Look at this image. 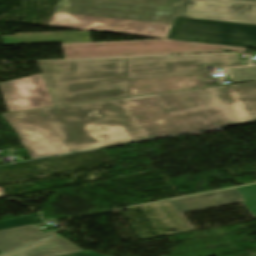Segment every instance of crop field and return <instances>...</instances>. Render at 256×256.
Wrapping results in <instances>:
<instances>
[{"label": "crop field", "mask_w": 256, "mask_h": 256, "mask_svg": "<svg viewBox=\"0 0 256 256\" xmlns=\"http://www.w3.org/2000/svg\"><path fill=\"white\" fill-rule=\"evenodd\" d=\"M151 95L167 114L221 106L233 124L256 120V82ZM2 115L31 160L150 139L121 99Z\"/></svg>", "instance_id": "obj_1"}, {"label": "crop field", "mask_w": 256, "mask_h": 256, "mask_svg": "<svg viewBox=\"0 0 256 256\" xmlns=\"http://www.w3.org/2000/svg\"><path fill=\"white\" fill-rule=\"evenodd\" d=\"M77 72L42 74L56 106L128 97L126 79L207 73L249 65L237 54L75 61Z\"/></svg>", "instance_id": "obj_2"}, {"label": "crop field", "mask_w": 256, "mask_h": 256, "mask_svg": "<svg viewBox=\"0 0 256 256\" xmlns=\"http://www.w3.org/2000/svg\"><path fill=\"white\" fill-rule=\"evenodd\" d=\"M181 0H58L47 26L165 38Z\"/></svg>", "instance_id": "obj_3"}, {"label": "crop field", "mask_w": 256, "mask_h": 256, "mask_svg": "<svg viewBox=\"0 0 256 256\" xmlns=\"http://www.w3.org/2000/svg\"><path fill=\"white\" fill-rule=\"evenodd\" d=\"M166 39L256 48V0H182Z\"/></svg>", "instance_id": "obj_4"}, {"label": "crop field", "mask_w": 256, "mask_h": 256, "mask_svg": "<svg viewBox=\"0 0 256 256\" xmlns=\"http://www.w3.org/2000/svg\"><path fill=\"white\" fill-rule=\"evenodd\" d=\"M123 101L150 138L232 124L221 107L167 115L155 96Z\"/></svg>", "instance_id": "obj_5"}, {"label": "crop field", "mask_w": 256, "mask_h": 256, "mask_svg": "<svg viewBox=\"0 0 256 256\" xmlns=\"http://www.w3.org/2000/svg\"><path fill=\"white\" fill-rule=\"evenodd\" d=\"M65 59L246 51V48L153 40L62 44Z\"/></svg>", "instance_id": "obj_6"}, {"label": "crop field", "mask_w": 256, "mask_h": 256, "mask_svg": "<svg viewBox=\"0 0 256 256\" xmlns=\"http://www.w3.org/2000/svg\"><path fill=\"white\" fill-rule=\"evenodd\" d=\"M9 112L55 106L41 74L0 83Z\"/></svg>", "instance_id": "obj_7"}, {"label": "crop field", "mask_w": 256, "mask_h": 256, "mask_svg": "<svg viewBox=\"0 0 256 256\" xmlns=\"http://www.w3.org/2000/svg\"><path fill=\"white\" fill-rule=\"evenodd\" d=\"M209 74L127 80L129 97L206 87Z\"/></svg>", "instance_id": "obj_8"}, {"label": "crop field", "mask_w": 256, "mask_h": 256, "mask_svg": "<svg viewBox=\"0 0 256 256\" xmlns=\"http://www.w3.org/2000/svg\"><path fill=\"white\" fill-rule=\"evenodd\" d=\"M243 200L244 199L237 192V190L232 188L193 197L171 200L170 203L173 205L191 231H193V228L190 226L181 212L234 203Z\"/></svg>", "instance_id": "obj_9"}, {"label": "crop field", "mask_w": 256, "mask_h": 256, "mask_svg": "<svg viewBox=\"0 0 256 256\" xmlns=\"http://www.w3.org/2000/svg\"><path fill=\"white\" fill-rule=\"evenodd\" d=\"M0 37L6 45L91 42L89 31L30 33Z\"/></svg>", "instance_id": "obj_10"}, {"label": "crop field", "mask_w": 256, "mask_h": 256, "mask_svg": "<svg viewBox=\"0 0 256 256\" xmlns=\"http://www.w3.org/2000/svg\"><path fill=\"white\" fill-rule=\"evenodd\" d=\"M74 252H80V250L61 237L56 236L1 256H58Z\"/></svg>", "instance_id": "obj_11"}, {"label": "crop field", "mask_w": 256, "mask_h": 256, "mask_svg": "<svg viewBox=\"0 0 256 256\" xmlns=\"http://www.w3.org/2000/svg\"><path fill=\"white\" fill-rule=\"evenodd\" d=\"M53 233L51 231L44 234L34 225L0 231V253L47 237Z\"/></svg>", "instance_id": "obj_12"}, {"label": "crop field", "mask_w": 256, "mask_h": 256, "mask_svg": "<svg viewBox=\"0 0 256 256\" xmlns=\"http://www.w3.org/2000/svg\"><path fill=\"white\" fill-rule=\"evenodd\" d=\"M225 72L234 83L256 80V66L231 68Z\"/></svg>", "instance_id": "obj_13"}, {"label": "crop field", "mask_w": 256, "mask_h": 256, "mask_svg": "<svg viewBox=\"0 0 256 256\" xmlns=\"http://www.w3.org/2000/svg\"><path fill=\"white\" fill-rule=\"evenodd\" d=\"M41 222L42 220L39 216V213H36V214H31L23 217L1 221L0 230L20 227L25 225H31V224L41 223Z\"/></svg>", "instance_id": "obj_14"}, {"label": "crop field", "mask_w": 256, "mask_h": 256, "mask_svg": "<svg viewBox=\"0 0 256 256\" xmlns=\"http://www.w3.org/2000/svg\"><path fill=\"white\" fill-rule=\"evenodd\" d=\"M42 73L76 71L74 61L38 62Z\"/></svg>", "instance_id": "obj_15"}, {"label": "crop field", "mask_w": 256, "mask_h": 256, "mask_svg": "<svg viewBox=\"0 0 256 256\" xmlns=\"http://www.w3.org/2000/svg\"><path fill=\"white\" fill-rule=\"evenodd\" d=\"M246 200L244 205L256 217V184L236 188Z\"/></svg>", "instance_id": "obj_16"}, {"label": "crop field", "mask_w": 256, "mask_h": 256, "mask_svg": "<svg viewBox=\"0 0 256 256\" xmlns=\"http://www.w3.org/2000/svg\"><path fill=\"white\" fill-rule=\"evenodd\" d=\"M64 256H103V255L87 251V252H80V253L69 254V255H64Z\"/></svg>", "instance_id": "obj_17"}, {"label": "crop field", "mask_w": 256, "mask_h": 256, "mask_svg": "<svg viewBox=\"0 0 256 256\" xmlns=\"http://www.w3.org/2000/svg\"><path fill=\"white\" fill-rule=\"evenodd\" d=\"M252 64H253V65H256V61H252Z\"/></svg>", "instance_id": "obj_18"}, {"label": "crop field", "mask_w": 256, "mask_h": 256, "mask_svg": "<svg viewBox=\"0 0 256 256\" xmlns=\"http://www.w3.org/2000/svg\"><path fill=\"white\" fill-rule=\"evenodd\" d=\"M0 196H2V194L0 193Z\"/></svg>", "instance_id": "obj_19"}, {"label": "crop field", "mask_w": 256, "mask_h": 256, "mask_svg": "<svg viewBox=\"0 0 256 256\" xmlns=\"http://www.w3.org/2000/svg\"><path fill=\"white\" fill-rule=\"evenodd\" d=\"M256 256V255H255Z\"/></svg>", "instance_id": "obj_20"}]
</instances>
